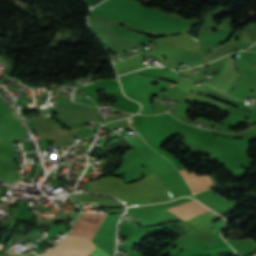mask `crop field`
Returning a JSON list of instances; mask_svg holds the SVG:
<instances>
[{
	"label": "crop field",
	"instance_id": "8a807250",
	"mask_svg": "<svg viewBox=\"0 0 256 256\" xmlns=\"http://www.w3.org/2000/svg\"><path fill=\"white\" fill-rule=\"evenodd\" d=\"M79 240V237L66 236L62 243H60L52 251L42 256H65L77 246ZM93 250L94 245L90 241L82 238L78 246L67 256H87L93 253Z\"/></svg>",
	"mask_w": 256,
	"mask_h": 256
},
{
	"label": "crop field",
	"instance_id": "ac0d7876",
	"mask_svg": "<svg viewBox=\"0 0 256 256\" xmlns=\"http://www.w3.org/2000/svg\"><path fill=\"white\" fill-rule=\"evenodd\" d=\"M94 216L95 214H83L81 218L73 226L70 234L84 236ZM104 217L105 215L103 214H96L94 220L92 221L84 237L92 240L96 232L98 231Z\"/></svg>",
	"mask_w": 256,
	"mask_h": 256
},
{
	"label": "crop field",
	"instance_id": "34b2d1b8",
	"mask_svg": "<svg viewBox=\"0 0 256 256\" xmlns=\"http://www.w3.org/2000/svg\"><path fill=\"white\" fill-rule=\"evenodd\" d=\"M198 202V201H197ZM195 200L169 208L173 213L184 220H189L203 212L210 211L208 208L197 203Z\"/></svg>",
	"mask_w": 256,
	"mask_h": 256
},
{
	"label": "crop field",
	"instance_id": "412701ff",
	"mask_svg": "<svg viewBox=\"0 0 256 256\" xmlns=\"http://www.w3.org/2000/svg\"><path fill=\"white\" fill-rule=\"evenodd\" d=\"M237 73L234 69V67L226 64L223 71L220 73V75L209 84L227 92L229 87L232 85Z\"/></svg>",
	"mask_w": 256,
	"mask_h": 256
},
{
	"label": "crop field",
	"instance_id": "f4fd0767",
	"mask_svg": "<svg viewBox=\"0 0 256 256\" xmlns=\"http://www.w3.org/2000/svg\"><path fill=\"white\" fill-rule=\"evenodd\" d=\"M180 173L185 177V179L187 180L191 190L193 193H197L205 188H207L208 186L212 185V182L209 180V178L207 177V175H204L205 179L203 176H196L194 172L188 173L186 171V169L184 170H180ZM214 184V183H213Z\"/></svg>",
	"mask_w": 256,
	"mask_h": 256
},
{
	"label": "crop field",
	"instance_id": "dd49c442",
	"mask_svg": "<svg viewBox=\"0 0 256 256\" xmlns=\"http://www.w3.org/2000/svg\"><path fill=\"white\" fill-rule=\"evenodd\" d=\"M93 89H109L119 90V83L115 80H99L97 83H92Z\"/></svg>",
	"mask_w": 256,
	"mask_h": 256
},
{
	"label": "crop field",
	"instance_id": "e52e79f7",
	"mask_svg": "<svg viewBox=\"0 0 256 256\" xmlns=\"http://www.w3.org/2000/svg\"><path fill=\"white\" fill-rule=\"evenodd\" d=\"M120 78H126V79H140V80H146V81H151V82H157V83L165 84V85H168V86L171 85V83H167V82H164V81H161V80H157V79H155V78L144 77V76L124 75V76H121ZM173 86H174V84H173L171 87H173Z\"/></svg>",
	"mask_w": 256,
	"mask_h": 256
},
{
	"label": "crop field",
	"instance_id": "d8731c3e",
	"mask_svg": "<svg viewBox=\"0 0 256 256\" xmlns=\"http://www.w3.org/2000/svg\"><path fill=\"white\" fill-rule=\"evenodd\" d=\"M95 247L96 249L93 256H109L104 251H102L98 246H95Z\"/></svg>",
	"mask_w": 256,
	"mask_h": 256
}]
</instances>
